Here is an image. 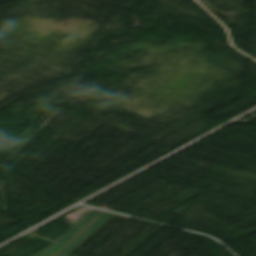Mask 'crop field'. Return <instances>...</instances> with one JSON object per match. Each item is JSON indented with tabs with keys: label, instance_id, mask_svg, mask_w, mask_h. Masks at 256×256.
Instances as JSON below:
<instances>
[{
	"label": "crop field",
	"instance_id": "crop-field-1",
	"mask_svg": "<svg viewBox=\"0 0 256 256\" xmlns=\"http://www.w3.org/2000/svg\"><path fill=\"white\" fill-rule=\"evenodd\" d=\"M113 215L126 218V216L97 209L87 211L73 222L75 225L68 233L33 256H68Z\"/></svg>",
	"mask_w": 256,
	"mask_h": 256
}]
</instances>
